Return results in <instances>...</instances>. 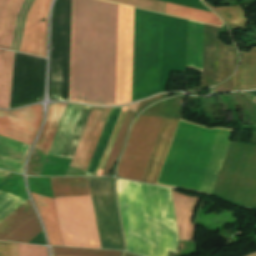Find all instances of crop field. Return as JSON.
I'll return each mask as SVG.
<instances>
[{"instance_id": "crop-field-18", "label": "crop field", "mask_w": 256, "mask_h": 256, "mask_svg": "<svg viewBox=\"0 0 256 256\" xmlns=\"http://www.w3.org/2000/svg\"><path fill=\"white\" fill-rule=\"evenodd\" d=\"M240 53L242 64L233 75L234 90L256 88V48Z\"/></svg>"}, {"instance_id": "crop-field-32", "label": "crop field", "mask_w": 256, "mask_h": 256, "mask_svg": "<svg viewBox=\"0 0 256 256\" xmlns=\"http://www.w3.org/2000/svg\"><path fill=\"white\" fill-rule=\"evenodd\" d=\"M53 256H59V255H53Z\"/></svg>"}, {"instance_id": "crop-field-7", "label": "crop field", "mask_w": 256, "mask_h": 256, "mask_svg": "<svg viewBox=\"0 0 256 256\" xmlns=\"http://www.w3.org/2000/svg\"><path fill=\"white\" fill-rule=\"evenodd\" d=\"M102 248L122 250L112 179L88 178Z\"/></svg>"}, {"instance_id": "crop-field-12", "label": "crop field", "mask_w": 256, "mask_h": 256, "mask_svg": "<svg viewBox=\"0 0 256 256\" xmlns=\"http://www.w3.org/2000/svg\"><path fill=\"white\" fill-rule=\"evenodd\" d=\"M66 105L67 104H51L49 106L44 130L30 155L27 169L28 175H39Z\"/></svg>"}, {"instance_id": "crop-field-1", "label": "crop field", "mask_w": 256, "mask_h": 256, "mask_svg": "<svg viewBox=\"0 0 256 256\" xmlns=\"http://www.w3.org/2000/svg\"><path fill=\"white\" fill-rule=\"evenodd\" d=\"M133 8L73 0L69 101L130 102Z\"/></svg>"}, {"instance_id": "crop-field-5", "label": "crop field", "mask_w": 256, "mask_h": 256, "mask_svg": "<svg viewBox=\"0 0 256 256\" xmlns=\"http://www.w3.org/2000/svg\"><path fill=\"white\" fill-rule=\"evenodd\" d=\"M211 195L256 208L255 144L230 143Z\"/></svg>"}, {"instance_id": "crop-field-13", "label": "crop field", "mask_w": 256, "mask_h": 256, "mask_svg": "<svg viewBox=\"0 0 256 256\" xmlns=\"http://www.w3.org/2000/svg\"><path fill=\"white\" fill-rule=\"evenodd\" d=\"M178 121L179 119H164L142 181L156 184Z\"/></svg>"}, {"instance_id": "crop-field-28", "label": "crop field", "mask_w": 256, "mask_h": 256, "mask_svg": "<svg viewBox=\"0 0 256 256\" xmlns=\"http://www.w3.org/2000/svg\"><path fill=\"white\" fill-rule=\"evenodd\" d=\"M18 256H47L46 247L18 244Z\"/></svg>"}, {"instance_id": "crop-field-24", "label": "crop field", "mask_w": 256, "mask_h": 256, "mask_svg": "<svg viewBox=\"0 0 256 256\" xmlns=\"http://www.w3.org/2000/svg\"><path fill=\"white\" fill-rule=\"evenodd\" d=\"M134 114H135L134 112H131L129 110L127 111L125 119H124L123 124L121 126V129L119 131L118 137H117L116 142L114 144V147L112 149L111 155H110L109 160L107 162V165L105 167L104 173L102 172L103 173L102 176H105V175L108 174V172L111 169L114 161L116 160V158H117V156L120 152V149H121L124 137L126 135L127 129L129 127L133 117H134Z\"/></svg>"}, {"instance_id": "crop-field-31", "label": "crop field", "mask_w": 256, "mask_h": 256, "mask_svg": "<svg viewBox=\"0 0 256 256\" xmlns=\"http://www.w3.org/2000/svg\"><path fill=\"white\" fill-rule=\"evenodd\" d=\"M249 93H251V94L256 96V91H252V92H249Z\"/></svg>"}, {"instance_id": "crop-field-17", "label": "crop field", "mask_w": 256, "mask_h": 256, "mask_svg": "<svg viewBox=\"0 0 256 256\" xmlns=\"http://www.w3.org/2000/svg\"><path fill=\"white\" fill-rule=\"evenodd\" d=\"M26 147L27 145L0 136V168L20 173Z\"/></svg>"}, {"instance_id": "crop-field-2", "label": "crop field", "mask_w": 256, "mask_h": 256, "mask_svg": "<svg viewBox=\"0 0 256 256\" xmlns=\"http://www.w3.org/2000/svg\"><path fill=\"white\" fill-rule=\"evenodd\" d=\"M126 251L143 256L176 252L178 236L168 188L117 180Z\"/></svg>"}, {"instance_id": "crop-field-16", "label": "crop field", "mask_w": 256, "mask_h": 256, "mask_svg": "<svg viewBox=\"0 0 256 256\" xmlns=\"http://www.w3.org/2000/svg\"><path fill=\"white\" fill-rule=\"evenodd\" d=\"M31 193V192H30ZM41 214L50 245L62 246L53 199L31 193Z\"/></svg>"}, {"instance_id": "crop-field-6", "label": "crop field", "mask_w": 256, "mask_h": 256, "mask_svg": "<svg viewBox=\"0 0 256 256\" xmlns=\"http://www.w3.org/2000/svg\"><path fill=\"white\" fill-rule=\"evenodd\" d=\"M164 118L140 115L133 125L120 161V177L142 180Z\"/></svg>"}, {"instance_id": "crop-field-29", "label": "crop field", "mask_w": 256, "mask_h": 256, "mask_svg": "<svg viewBox=\"0 0 256 256\" xmlns=\"http://www.w3.org/2000/svg\"><path fill=\"white\" fill-rule=\"evenodd\" d=\"M0 256H17V244L0 242Z\"/></svg>"}, {"instance_id": "crop-field-30", "label": "crop field", "mask_w": 256, "mask_h": 256, "mask_svg": "<svg viewBox=\"0 0 256 256\" xmlns=\"http://www.w3.org/2000/svg\"><path fill=\"white\" fill-rule=\"evenodd\" d=\"M8 174V172L0 171V180L5 177ZM4 179V178H3Z\"/></svg>"}, {"instance_id": "crop-field-11", "label": "crop field", "mask_w": 256, "mask_h": 256, "mask_svg": "<svg viewBox=\"0 0 256 256\" xmlns=\"http://www.w3.org/2000/svg\"><path fill=\"white\" fill-rule=\"evenodd\" d=\"M110 109L111 108H92L69 165L70 167L86 170Z\"/></svg>"}, {"instance_id": "crop-field-20", "label": "crop field", "mask_w": 256, "mask_h": 256, "mask_svg": "<svg viewBox=\"0 0 256 256\" xmlns=\"http://www.w3.org/2000/svg\"><path fill=\"white\" fill-rule=\"evenodd\" d=\"M13 52L0 49V107L9 108Z\"/></svg>"}, {"instance_id": "crop-field-14", "label": "crop field", "mask_w": 256, "mask_h": 256, "mask_svg": "<svg viewBox=\"0 0 256 256\" xmlns=\"http://www.w3.org/2000/svg\"><path fill=\"white\" fill-rule=\"evenodd\" d=\"M180 240L193 241L192 217L199 199L182 196L171 189Z\"/></svg>"}, {"instance_id": "crop-field-3", "label": "crop field", "mask_w": 256, "mask_h": 256, "mask_svg": "<svg viewBox=\"0 0 256 256\" xmlns=\"http://www.w3.org/2000/svg\"><path fill=\"white\" fill-rule=\"evenodd\" d=\"M232 132L180 121L158 183L210 194Z\"/></svg>"}, {"instance_id": "crop-field-25", "label": "crop field", "mask_w": 256, "mask_h": 256, "mask_svg": "<svg viewBox=\"0 0 256 256\" xmlns=\"http://www.w3.org/2000/svg\"><path fill=\"white\" fill-rule=\"evenodd\" d=\"M53 254L73 256H120L121 252L52 247Z\"/></svg>"}, {"instance_id": "crop-field-15", "label": "crop field", "mask_w": 256, "mask_h": 256, "mask_svg": "<svg viewBox=\"0 0 256 256\" xmlns=\"http://www.w3.org/2000/svg\"><path fill=\"white\" fill-rule=\"evenodd\" d=\"M24 0H0V48H11L16 15Z\"/></svg>"}, {"instance_id": "crop-field-26", "label": "crop field", "mask_w": 256, "mask_h": 256, "mask_svg": "<svg viewBox=\"0 0 256 256\" xmlns=\"http://www.w3.org/2000/svg\"><path fill=\"white\" fill-rule=\"evenodd\" d=\"M128 106H129V105L124 106V107L122 108V110H121V113H120V115H119V118H118V120H117V123H116V125H115V128H114V130H113V133H112V135H111V138H110V140H109V143H108V145H107V148H106V150H105V153H104V155H103V158H102V160H101V163H100V165H99V168H98L97 173H96L95 176H101V175H102V172H103V170H104V167H105L106 162H107V160H108V157H109V155H110L111 149H112L113 144H114V142H115V139H116V137H117L118 131H119V129H120V126H121V124H122V121H123V119H124V116H125V113H126V111H127Z\"/></svg>"}, {"instance_id": "crop-field-10", "label": "crop field", "mask_w": 256, "mask_h": 256, "mask_svg": "<svg viewBox=\"0 0 256 256\" xmlns=\"http://www.w3.org/2000/svg\"><path fill=\"white\" fill-rule=\"evenodd\" d=\"M51 0H34L26 17L22 53L45 57L47 13ZM45 18V22H40Z\"/></svg>"}, {"instance_id": "crop-field-22", "label": "crop field", "mask_w": 256, "mask_h": 256, "mask_svg": "<svg viewBox=\"0 0 256 256\" xmlns=\"http://www.w3.org/2000/svg\"><path fill=\"white\" fill-rule=\"evenodd\" d=\"M236 66V57L232 46L219 41L218 82L232 74Z\"/></svg>"}, {"instance_id": "crop-field-8", "label": "crop field", "mask_w": 256, "mask_h": 256, "mask_svg": "<svg viewBox=\"0 0 256 256\" xmlns=\"http://www.w3.org/2000/svg\"><path fill=\"white\" fill-rule=\"evenodd\" d=\"M25 199L0 191V222ZM42 231L29 201H25L0 223V240L28 243Z\"/></svg>"}, {"instance_id": "crop-field-9", "label": "crop field", "mask_w": 256, "mask_h": 256, "mask_svg": "<svg viewBox=\"0 0 256 256\" xmlns=\"http://www.w3.org/2000/svg\"><path fill=\"white\" fill-rule=\"evenodd\" d=\"M41 118V105L0 111V135L31 145Z\"/></svg>"}, {"instance_id": "crop-field-19", "label": "crop field", "mask_w": 256, "mask_h": 256, "mask_svg": "<svg viewBox=\"0 0 256 256\" xmlns=\"http://www.w3.org/2000/svg\"><path fill=\"white\" fill-rule=\"evenodd\" d=\"M203 24L188 20L187 66L201 70Z\"/></svg>"}, {"instance_id": "crop-field-21", "label": "crop field", "mask_w": 256, "mask_h": 256, "mask_svg": "<svg viewBox=\"0 0 256 256\" xmlns=\"http://www.w3.org/2000/svg\"><path fill=\"white\" fill-rule=\"evenodd\" d=\"M164 13L220 26L222 22L210 12L165 2Z\"/></svg>"}, {"instance_id": "crop-field-23", "label": "crop field", "mask_w": 256, "mask_h": 256, "mask_svg": "<svg viewBox=\"0 0 256 256\" xmlns=\"http://www.w3.org/2000/svg\"><path fill=\"white\" fill-rule=\"evenodd\" d=\"M211 8L217 13H219L232 29H239V28L245 27L246 19H245L241 5L232 6V7H211Z\"/></svg>"}, {"instance_id": "crop-field-4", "label": "crop field", "mask_w": 256, "mask_h": 256, "mask_svg": "<svg viewBox=\"0 0 256 256\" xmlns=\"http://www.w3.org/2000/svg\"><path fill=\"white\" fill-rule=\"evenodd\" d=\"M53 196L91 197L87 178H50ZM53 197L63 246L101 248L91 198Z\"/></svg>"}, {"instance_id": "crop-field-27", "label": "crop field", "mask_w": 256, "mask_h": 256, "mask_svg": "<svg viewBox=\"0 0 256 256\" xmlns=\"http://www.w3.org/2000/svg\"><path fill=\"white\" fill-rule=\"evenodd\" d=\"M162 13L163 2L157 0H107Z\"/></svg>"}]
</instances>
